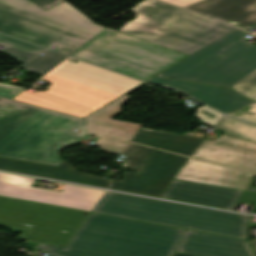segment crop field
Segmentation results:
<instances>
[{
    "instance_id": "obj_11",
    "label": "crop field",
    "mask_w": 256,
    "mask_h": 256,
    "mask_svg": "<svg viewBox=\"0 0 256 256\" xmlns=\"http://www.w3.org/2000/svg\"><path fill=\"white\" fill-rule=\"evenodd\" d=\"M187 157L155 150L143 174L127 171L111 188L161 197Z\"/></svg>"
},
{
    "instance_id": "obj_29",
    "label": "crop field",
    "mask_w": 256,
    "mask_h": 256,
    "mask_svg": "<svg viewBox=\"0 0 256 256\" xmlns=\"http://www.w3.org/2000/svg\"><path fill=\"white\" fill-rule=\"evenodd\" d=\"M239 202L255 205L256 204V193L244 191Z\"/></svg>"
},
{
    "instance_id": "obj_18",
    "label": "crop field",
    "mask_w": 256,
    "mask_h": 256,
    "mask_svg": "<svg viewBox=\"0 0 256 256\" xmlns=\"http://www.w3.org/2000/svg\"><path fill=\"white\" fill-rule=\"evenodd\" d=\"M224 21L246 26L256 23V0H203L185 7Z\"/></svg>"
},
{
    "instance_id": "obj_26",
    "label": "crop field",
    "mask_w": 256,
    "mask_h": 256,
    "mask_svg": "<svg viewBox=\"0 0 256 256\" xmlns=\"http://www.w3.org/2000/svg\"><path fill=\"white\" fill-rule=\"evenodd\" d=\"M127 144V142L115 141L100 137L96 146L106 153L119 155Z\"/></svg>"
},
{
    "instance_id": "obj_22",
    "label": "crop field",
    "mask_w": 256,
    "mask_h": 256,
    "mask_svg": "<svg viewBox=\"0 0 256 256\" xmlns=\"http://www.w3.org/2000/svg\"><path fill=\"white\" fill-rule=\"evenodd\" d=\"M153 152L154 149L130 143L122 154L126 162L122 169L142 173Z\"/></svg>"
},
{
    "instance_id": "obj_12",
    "label": "crop field",
    "mask_w": 256,
    "mask_h": 256,
    "mask_svg": "<svg viewBox=\"0 0 256 256\" xmlns=\"http://www.w3.org/2000/svg\"><path fill=\"white\" fill-rule=\"evenodd\" d=\"M192 157L256 172V143L222 134L204 139Z\"/></svg>"
},
{
    "instance_id": "obj_10",
    "label": "crop field",
    "mask_w": 256,
    "mask_h": 256,
    "mask_svg": "<svg viewBox=\"0 0 256 256\" xmlns=\"http://www.w3.org/2000/svg\"><path fill=\"white\" fill-rule=\"evenodd\" d=\"M34 179L0 173V195L92 212L104 191L70 186L63 193L31 187Z\"/></svg>"
},
{
    "instance_id": "obj_32",
    "label": "crop field",
    "mask_w": 256,
    "mask_h": 256,
    "mask_svg": "<svg viewBox=\"0 0 256 256\" xmlns=\"http://www.w3.org/2000/svg\"><path fill=\"white\" fill-rule=\"evenodd\" d=\"M181 7H185L187 5L193 4L195 2L201 1V0H163Z\"/></svg>"
},
{
    "instance_id": "obj_8",
    "label": "crop field",
    "mask_w": 256,
    "mask_h": 256,
    "mask_svg": "<svg viewBox=\"0 0 256 256\" xmlns=\"http://www.w3.org/2000/svg\"><path fill=\"white\" fill-rule=\"evenodd\" d=\"M246 35L238 28L157 76L231 87L256 69V46Z\"/></svg>"
},
{
    "instance_id": "obj_2",
    "label": "crop field",
    "mask_w": 256,
    "mask_h": 256,
    "mask_svg": "<svg viewBox=\"0 0 256 256\" xmlns=\"http://www.w3.org/2000/svg\"><path fill=\"white\" fill-rule=\"evenodd\" d=\"M185 230L90 213L66 247L50 256H172Z\"/></svg>"
},
{
    "instance_id": "obj_35",
    "label": "crop field",
    "mask_w": 256,
    "mask_h": 256,
    "mask_svg": "<svg viewBox=\"0 0 256 256\" xmlns=\"http://www.w3.org/2000/svg\"><path fill=\"white\" fill-rule=\"evenodd\" d=\"M2 199H3V198H2V197H0V202L2 201Z\"/></svg>"
},
{
    "instance_id": "obj_19",
    "label": "crop field",
    "mask_w": 256,
    "mask_h": 256,
    "mask_svg": "<svg viewBox=\"0 0 256 256\" xmlns=\"http://www.w3.org/2000/svg\"><path fill=\"white\" fill-rule=\"evenodd\" d=\"M202 140L201 138L181 136L161 131H150L142 128L131 139L132 142L185 156L192 155Z\"/></svg>"
},
{
    "instance_id": "obj_31",
    "label": "crop field",
    "mask_w": 256,
    "mask_h": 256,
    "mask_svg": "<svg viewBox=\"0 0 256 256\" xmlns=\"http://www.w3.org/2000/svg\"><path fill=\"white\" fill-rule=\"evenodd\" d=\"M145 84H146V83H144V84L138 86L137 88L131 90L130 92H132V91H134V90H136V89L142 87V86L145 85ZM130 92H128V93H130ZM128 93L124 94V96L119 100V102L117 101L118 103L110 110V112L107 114V116L111 117V116H113V115H115V114H117V113L120 112L119 106H120L124 101H126V100L128 99V97H126ZM128 95H129V94H128Z\"/></svg>"
},
{
    "instance_id": "obj_15",
    "label": "crop field",
    "mask_w": 256,
    "mask_h": 256,
    "mask_svg": "<svg viewBox=\"0 0 256 256\" xmlns=\"http://www.w3.org/2000/svg\"><path fill=\"white\" fill-rule=\"evenodd\" d=\"M176 252L200 256H254L245 240L188 230Z\"/></svg>"
},
{
    "instance_id": "obj_30",
    "label": "crop field",
    "mask_w": 256,
    "mask_h": 256,
    "mask_svg": "<svg viewBox=\"0 0 256 256\" xmlns=\"http://www.w3.org/2000/svg\"><path fill=\"white\" fill-rule=\"evenodd\" d=\"M30 1L37 3L44 10H47V9L63 2L64 0H30Z\"/></svg>"
},
{
    "instance_id": "obj_14",
    "label": "crop field",
    "mask_w": 256,
    "mask_h": 256,
    "mask_svg": "<svg viewBox=\"0 0 256 256\" xmlns=\"http://www.w3.org/2000/svg\"><path fill=\"white\" fill-rule=\"evenodd\" d=\"M242 191L173 180L163 198L234 210Z\"/></svg>"
},
{
    "instance_id": "obj_27",
    "label": "crop field",
    "mask_w": 256,
    "mask_h": 256,
    "mask_svg": "<svg viewBox=\"0 0 256 256\" xmlns=\"http://www.w3.org/2000/svg\"><path fill=\"white\" fill-rule=\"evenodd\" d=\"M197 118L205 121L211 126H216L220 119L224 116L206 106L200 107L196 112ZM204 122V123H205Z\"/></svg>"
},
{
    "instance_id": "obj_1",
    "label": "crop field",
    "mask_w": 256,
    "mask_h": 256,
    "mask_svg": "<svg viewBox=\"0 0 256 256\" xmlns=\"http://www.w3.org/2000/svg\"><path fill=\"white\" fill-rule=\"evenodd\" d=\"M24 90L0 83V157L59 166L58 151L81 143L88 134L87 123L11 101Z\"/></svg>"
},
{
    "instance_id": "obj_20",
    "label": "crop field",
    "mask_w": 256,
    "mask_h": 256,
    "mask_svg": "<svg viewBox=\"0 0 256 256\" xmlns=\"http://www.w3.org/2000/svg\"><path fill=\"white\" fill-rule=\"evenodd\" d=\"M121 97L84 118L87 120L90 134L130 141L141 125L116 121L105 116Z\"/></svg>"
},
{
    "instance_id": "obj_5",
    "label": "crop field",
    "mask_w": 256,
    "mask_h": 256,
    "mask_svg": "<svg viewBox=\"0 0 256 256\" xmlns=\"http://www.w3.org/2000/svg\"><path fill=\"white\" fill-rule=\"evenodd\" d=\"M131 11L137 18L120 32L189 55L237 28L154 0H145Z\"/></svg>"
},
{
    "instance_id": "obj_16",
    "label": "crop field",
    "mask_w": 256,
    "mask_h": 256,
    "mask_svg": "<svg viewBox=\"0 0 256 256\" xmlns=\"http://www.w3.org/2000/svg\"><path fill=\"white\" fill-rule=\"evenodd\" d=\"M148 82L184 92L225 114L254 102L242 97L230 89L223 87L199 85L158 78H153Z\"/></svg>"
},
{
    "instance_id": "obj_17",
    "label": "crop field",
    "mask_w": 256,
    "mask_h": 256,
    "mask_svg": "<svg viewBox=\"0 0 256 256\" xmlns=\"http://www.w3.org/2000/svg\"><path fill=\"white\" fill-rule=\"evenodd\" d=\"M0 169L108 188L110 180L81 174L61 160L60 167L0 158Z\"/></svg>"
},
{
    "instance_id": "obj_23",
    "label": "crop field",
    "mask_w": 256,
    "mask_h": 256,
    "mask_svg": "<svg viewBox=\"0 0 256 256\" xmlns=\"http://www.w3.org/2000/svg\"><path fill=\"white\" fill-rule=\"evenodd\" d=\"M217 129L226 131L224 134L256 142L255 125L225 117L217 126Z\"/></svg>"
},
{
    "instance_id": "obj_13",
    "label": "crop field",
    "mask_w": 256,
    "mask_h": 256,
    "mask_svg": "<svg viewBox=\"0 0 256 256\" xmlns=\"http://www.w3.org/2000/svg\"><path fill=\"white\" fill-rule=\"evenodd\" d=\"M253 175L189 158L175 179L246 190Z\"/></svg>"
},
{
    "instance_id": "obj_4",
    "label": "crop field",
    "mask_w": 256,
    "mask_h": 256,
    "mask_svg": "<svg viewBox=\"0 0 256 256\" xmlns=\"http://www.w3.org/2000/svg\"><path fill=\"white\" fill-rule=\"evenodd\" d=\"M105 28L67 2L44 11L27 0H0V32L68 55Z\"/></svg>"
},
{
    "instance_id": "obj_24",
    "label": "crop field",
    "mask_w": 256,
    "mask_h": 256,
    "mask_svg": "<svg viewBox=\"0 0 256 256\" xmlns=\"http://www.w3.org/2000/svg\"><path fill=\"white\" fill-rule=\"evenodd\" d=\"M43 54L45 55L37 56L36 58H34L29 63L22 66L21 68L44 75L48 71L53 69L55 66H57L59 63L64 61L66 58H68L66 56L60 55L58 53H55L49 50H47Z\"/></svg>"
},
{
    "instance_id": "obj_34",
    "label": "crop field",
    "mask_w": 256,
    "mask_h": 256,
    "mask_svg": "<svg viewBox=\"0 0 256 256\" xmlns=\"http://www.w3.org/2000/svg\"><path fill=\"white\" fill-rule=\"evenodd\" d=\"M247 28L251 29V28H255L256 27V24H253V25H249V26H246Z\"/></svg>"
},
{
    "instance_id": "obj_28",
    "label": "crop field",
    "mask_w": 256,
    "mask_h": 256,
    "mask_svg": "<svg viewBox=\"0 0 256 256\" xmlns=\"http://www.w3.org/2000/svg\"><path fill=\"white\" fill-rule=\"evenodd\" d=\"M228 115L256 123V102Z\"/></svg>"
},
{
    "instance_id": "obj_7",
    "label": "crop field",
    "mask_w": 256,
    "mask_h": 256,
    "mask_svg": "<svg viewBox=\"0 0 256 256\" xmlns=\"http://www.w3.org/2000/svg\"><path fill=\"white\" fill-rule=\"evenodd\" d=\"M71 56L146 81L189 55L107 28Z\"/></svg>"
},
{
    "instance_id": "obj_6",
    "label": "crop field",
    "mask_w": 256,
    "mask_h": 256,
    "mask_svg": "<svg viewBox=\"0 0 256 256\" xmlns=\"http://www.w3.org/2000/svg\"><path fill=\"white\" fill-rule=\"evenodd\" d=\"M94 213L248 239L251 217L107 192Z\"/></svg>"
},
{
    "instance_id": "obj_33",
    "label": "crop field",
    "mask_w": 256,
    "mask_h": 256,
    "mask_svg": "<svg viewBox=\"0 0 256 256\" xmlns=\"http://www.w3.org/2000/svg\"><path fill=\"white\" fill-rule=\"evenodd\" d=\"M173 256H192V255H185V254H178V253H174Z\"/></svg>"
},
{
    "instance_id": "obj_3",
    "label": "crop field",
    "mask_w": 256,
    "mask_h": 256,
    "mask_svg": "<svg viewBox=\"0 0 256 256\" xmlns=\"http://www.w3.org/2000/svg\"><path fill=\"white\" fill-rule=\"evenodd\" d=\"M42 80L45 92L24 91L13 100L85 117L142 82L85 62H64Z\"/></svg>"
},
{
    "instance_id": "obj_25",
    "label": "crop field",
    "mask_w": 256,
    "mask_h": 256,
    "mask_svg": "<svg viewBox=\"0 0 256 256\" xmlns=\"http://www.w3.org/2000/svg\"><path fill=\"white\" fill-rule=\"evenodd\" d=\"M232 88L236 89L245 96L256 100V70L235 84Z\"/></svg>"
},
{
    "instance_id": "obj_21",
    "label": "crop field",
    "mask_w": 256,
    "mask_h": 256,
    "mask_svg": "<svg viewBox=\"0 0 256 256\" xmlns=\"http://www.w3.org/2000/svg\"><path fill=\"white\" fill-rule=\"evenodd\" d=\"M0 44L7 46L6 49L0 51L22 63L35 57L41 53L44 48L21 42L0 34Z\"/></svg>"
},
{
    "instance_id": "obj_9",
    "label": "crop field",
    "mask_w": 256,
    "mask_h": 256,
    "mask_svg": "<svg viewBox=\"0 0 256 256\" xmlns=\"http://www.w3.org/2000/svg\"><path fill=\"white\" fill-rule=\"evenodd\" d=\"M88 214L4 198L0 226L25 229L22 240L66 246Z\"/></svg>"
}]
</instances>
